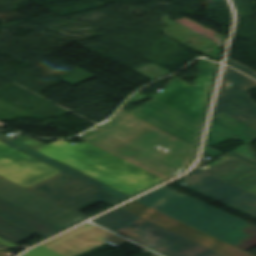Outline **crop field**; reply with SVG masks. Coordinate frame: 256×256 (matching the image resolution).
Masks as SVG:
<instances>
[{
	"label": "crop field",
	"instance_id": "obj_14",
	"mask_svg": "<svg viewBox=\"0 0 256 256\" xmlns=\"http://www.w3.org/2000/svg\"><path fill=\"white\" fill-rule=\"evenodd\" d=\"M229 158L231 157L226 156L218 161L215 160L216 162L213 161L214 163L200 168L207 173L256 194V169L235 159L219 164ZM225 165L228 166L224 168L223 166ZM237 165H239V167L234 169ZM240 169L242 171L236 173Z\"/></svg>",
	"mask_w": 256,
	"mask_h": 256
},
{
	"label": "crop field",
	"instance_id": "obj_25",
	"mask_svg": "<svg viewBox=\"0 0 256 256\" xmlns=\"http://www.w3.org/2000/svg\"><path fill=\"white\" fill-rule=\"evenodd\" d=\"M6 248H9V247H7V246H5V245L0 243V249H6Z\"/></svg>",
	"mask_w": 256,
	"mask_h": 256
},
{
	"label": "crop field",
	"instance_id": "obj_24",
	"mask_svg": "<svg viewBox=\"0 0 256 256\" xmlns=\"http://www.w3.org/2000/svg\"><path fill=\"white\" fill-rule=\"evenodd\" d=\"M0 242L3 243V244H5V245H7V246H9V247H18V246H16V245H14V244H12V243H10V242H8V241L2 239V238H0Z\"/></svg>",
	"mask_w": 256,
	"mask_h": 256
},
{
	"label": "crop field",
	"instance_id": "obj_19",
	"mask_svg": "<svg viewBox=\"0 0 256 256\" xmlns=\"http://www.w3.org/2000/svg\"><path fill=\"white\" fill-rule=\"evenodd\" d=\"M254 141H256V139L228 152L227 154L256 167V153L253 152V149L250 146Z\"/></svg>",
	"mask_w": 256,
	"mask_h": 256
},
{
	"label": "crop field",
	"instance_id": "obj_3",
	"mask_svg": "<svg viewBox=\"0 0 256 256\" xmlns=\"http://www.w3.org/2000/svg\"><path fill=\"white\" fill-rule=\"evenodd\" d=\"M37 151L130 196L165 180L87 142L59 140Z\"/></svg>",
	"mask_w": 256,
	"mask_h": 256
},
{
	"label": "crop field",
	"instance_id": "obj_15",
	"mask_svg": "<svg viewBox=\"0 0 256 256\" xmlns=\"http://www.w3.org/2000/svg\"><path fill=\"white\" fill-rule=\"evenodd\" d=\"M251 135L256 137V130L220 112L210 121L205 143L213 146L231 137L246 143Z\"/></svg>",
	"mask_w": 256,
	"mask_h": 256
},
{
	"label": "crop field",
	"instance_id": "obj_16",
	"mask_svg": "<svg viewBox=\"0 0 256 256\" xmlns=\"http://www.w3.org/2000/svg\"><path fill=\"white\" fill-rule=\"evenodd\" d=\"M0 217L44 238L62 228L0 199Z\"/></svg>",
	"mask_w": 256,
	"mask_h": 256
},
{
	"label": "crop field",
	"instance_id": "obj_12",
	"mask_svg": "<svg viewBox=\"0 0 256 256\" xmlns=\"http://www.w3.org/2000/svg\"><path fill=\"white\" fill-rule=\"evenodd\" d=\"M128 114L197 147L202 125L153 100Z\"/></svg>",
	"mask_w": 256,
	"mask_h": 256
},
{
	"label": "crop field",
	"instance_id": "obj_8",
	"mask_svg": "<svg viewBox=\"0 0 256 256\" xmlns=\"http://www.w3.org/2000/svg\"><path fill=\"white\" fill-rule=\"evenodd\" d=\"M185 180L183 186L256 218V195L197 168L185 176Z\"/></svg>",
	"mask_w": 256,
	"mask_h": 256
},
{
	"label": "crop field",
	"instance_id": "obj_4",
	"mask_svg": "<svg viewBox=\"0 0 256 256\" xmlns=\"http://www.w3.org/2000/svg\"><path fill=\"white\" fill-rule=\"evenodd\" d=\"M94 221L165 256H221L121 208Z\"/></svg>",
	"mask_w": 256,
	"mask_h": 256
},
{
	"label": "crop field",
	"instance_id": "obj_6",
	"mask_svg": "<svg viewBox=\"0 0 256 256\" xmlns=\"http://www.w3.org/2000/svg\"><path fill=\"white\" fill-rule=\"evenodd\" d=\"M28 189L76 213L98 201L111 205L121 201L65 173H61Z\"/></svg>",
	"mask_w": 256,
	"mask_h": 256
},
{
	"label": "crop field",
	"instance_id": "obj_23",
	"mask_svg": "<svg viewBox=\"0 0 256 256\" xmlns=\"http://www.w3.org/2000/svg\"><path fill=\"white\" fill-rule=\"evenodd\" d=\"M203 151H205V152H207V153H209V154H211V155H213L215 157L223 154V153H221V152H219L217 150H214V149H212V148H210V147H208L206 145H204V150Z\"/></svg>",
	"mask_w": 256,
	"mask_h": 256
},
{
	"label": "crop field",
	"instance_id": "obj_21",
	"mask_svg": "<svg viewBox=\"0 0 256 256\" xmlns=\"http://www.w3.org/2000/svg\"><path fill=\"white\" fill-rule=\"evenodd\" d=\"M29 252L26 256H63L41 245Z\"/></svg>",
	"mask_w": 256,
	"mask_h": 256
},
{
	"label": "crop field",
	"instance_id": "obj_11",
	"mask_svg": "<svg viewBox=\"0 0 256 256\" xmlns=\"http://www.w3.org/2000/svg\"><path fill=\"white\" fill-rule=\"evenodd\" d=\"M121 208L206 246L224 256H254L136 201Z\"/></svg>",
	"mask_w": 256,
	"mask_h": 256
},
{
	"label": "crop field",
	"instance_id": "obj_10",
	"mask_svg": "<svg viewBox=\"0 0 256 256\" xmlns=\"http://www.w3.org/2000/svg\"><path fill=\"white\" fill-rule=\"evenodd\" d=\"M61 172L0 142V176L5 179L28 188Z\"/></svg>",
	"mask_w": 256,
	"mask_h": 256
},
{
	"label": "crop field",
	"instance_id": "obj_9",
	"mask_svg": "<svg viewBox=\"0 0 256 256\" xmlns=\"http://www.w3.org/2000/svg\"><path fill=\"white\" fill-rule=\"evenodd\" d=\"M0 198L63 228L84 219L82 216L1 177Z\"/></svg>",
	"mask_w": 256,
	"mask_h": 256
},
{
	"label": "crop field",
	"instance_id": "obj_27",
	"mask_svg": "<svg viewBox=\"0 0 256 256\" xmlns=\"http://www.w3.org/2000/svg\"><path fill=\"white\" fill-rule=\"evenodd\" d=\"M27 253H29V252H27ZM27 253L23 254L22 256L26 255Z\"/></svg>",
	"mask_w": 256,
	"mask_h": 256
},
{
	"label": "crop field",
	"instance_id": "obj_1",
	"mask_svg": "<svg viewBox=\"0 0 256 256\" xmlns=\"http://www.w3.org/2000/svg\"><path fill=\"white\" fill-rule=\"evenodd\" d=\"M120 112L123 116L109 130L84 140L165 179L190 164L196 148Z\"/></svg>",
	"mask_w": 256,
	"mask_h": 256
},
{
	"label": "crop field",
	"instance_id": "obj_18",
	"mask_svg": "<svg viewBox=\"0 0 256 256\" xmlns=\"http://www.w3.org/2000/svg\"><path fill=\"white\" fill-rule=\"evenodd\" d=\"M30 235L32 233L0 218V237L15 243Z\"/></svg>",
	"mask_w": 256,
	"mask_h": 256
},
{
	"label": "crop field",
	"instance_id": "obj_20",
	"mask_svg": "<svg viewBox=\"0 0 256 256\" xmlns=\"http://www.w3.org/2000/svg\"><path fill=\"white\" fill-rule=\"evenodd\" d=\"M122 116V114L120 112L116 113V116L114 118H112L111 120L101 124L100 126L90 130L89 132L79 136L80 138L84 139L92 134H95L103 129H109L120 117Z\"/></svg>",
	"mask_w": 256,
	"mask_h": 256
},
{
	"label": "crop field",
	"instance_id": "obj_17",
	"mask_svg": "<svg viewBox=\"0 0 256 256\" xmlns=\"http://www.w3.org/2000/svg\"><path fill=\"white\" fill-rule=\"evenodd\" d=\"M0 141L18 149V150L36 158V159H38V160H40L44 163H47L51 166H54V167L64 171L65 173H68V174H70V175H72V176H74V177L92 185V186H95V187H97V188H99V189L117 197V198H120V199L124 200V199L130 197V196H128V195H126L122 192H119V191H117V190H115V189H113V188H111V187L93 179V178H90V177H88V176H86V175H84V174L66 166V165H63V164H61V163L43 155V154H41V153H39V152L29 148V147L17 142V141H14L13 139H11V138H9L5 135L0 134Z\"/></svg>",
	"mask_w": 256,
	"mask_h": 256
},
{
	"label": "crop field",
	"instance_id": "obj_2",
	"mask_svg": "<svg viewBox=\"0 0 256 256\" xmlns=\"http://www.w3.org/2000/svg\"><path fill=\"white\" fill-rule=\"evenodd\" d=\"M136 201L242 250L256 244V226L166 186Z\"/></svg>",
	"mask_w": 256,
	"mask_h": 256
},
{
	"label": "crop field",
	"instance_id": "obj_22",
	"mask_svg": "<svg viewBox=\"0 0 256 256\" xmlns=\"http://www.w3.org/2000/svg\"><path fill=\"white\" fill-rule=\"evenodd\" d=\"M227 64L236 68V69H238V70H240V71H243V72L253 76L254 78H256V72L255 71H253V70H251V69H249V68H247V67H245V66H243V65H241V64H239V63H237L233 60L228 59Z\"/></svg>",
	"mask_w": 256,
	"mask_h": 256
},
{
	"label": "crop field",
	"instance_id": "obj_5",
	"mask_svg": "<svg viewBox=\"0 0 256 256\" xmlns=\"http://www.w3.org/2000/svg\"><path fill=\"white\" fill-rule=\"evenodd\" d=\"M217 65L204 60L196 86L188 85L176 78L161 93L151 98L203 123Z\"/></svg>",
	"mask_w": 256,
	"mask_h": 256
},
{
	"label": "crop field",
	"instance_id": "obj_26",
	"mask_svg": "<svg viewBox=\"0 0 256 256\" xmlns=\"http://www.w3.org/2000/svg\"><path fill=\"white\" fill-rule=\"evenodd\" d=\"M0 256H7L4 251H0Z\"/></svg>",
	"mask_w": 256,
	"mask_h": 256
},
{
	"label": "crop field",
	"instance_id": "obj_7",
	"mask_svg": "<svg viewBox=\"0 0 256 256\" xmlns=\"http://www.w3.org/2000/svg\"><path fill=\"white\" fill-rule=\"evenodd\" d=\"M228 81L231 82V88L226 90ZM251 89H256V81L225 66L212 117L221 111L256 129V103L248 95ZM238 116L248 118V121Z\"/></svg>",
	"mask_w": 256,
	"mask_h": 256
},
{
	"label": "crop field",
	"instance_id": "obj_13",
	"mask_svg": "<svg viewBox=\"0 0 256 256\" xmlns=\"http://www.w3.org/2000/svg\"><path fill=\"white\" fill-rule=\"evenodd\" d=\"M105 242L118 246L125 240L96 226L85 224L42 245L65 256H75Z\"/></svg>",
	"mask_w": 256,
	"mask_h": 256
}]
</instances>
